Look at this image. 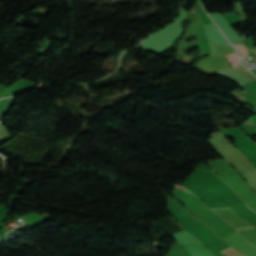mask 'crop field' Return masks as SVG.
Listing matches in <instances>:
<instances>
[{
  "label": "crop field",
  "mask_w": 256,
  "mask_h": 256,
  "mask_svg": "<svg viewBox=\"0 0 256 256\" xmlns=\"http://www.w3.org/2000/svg\"><path fill=\"white\" fill-rule=\"evenodd\" d=\"M227 58L231 63L232 67H236L238 65L239 61L235 53L227 55Z\"/></svg>",
  "instance_id": "4"
},
{
  "label": "crop field",
  "mask_w": 256,
  "mask_h": 256,
  "mask_svg": "<svg viewBox=\"0 0 256 256\" xmlns=\"http://www.w3.org/2000/svg\"><path fill=\"white\" fill-rule=\"evenodd\" d=\"M238 53L242 55V57L244 58V60H246L247 58V50L245 48L244 45H237V44H234Z\"/></svg>",
  "instance_id": "3"
},
{
  "label": "crop field",
  "mask_w": 256,
  "mask_h": 256,
  "mask_svg": "<svg viewBox=\"0 0 256 256\" xmlns=\"http://www.w3.org/2000/svg\"><path fill=\"white\" fill-rule=\"evenodd\" d=\"M210 209L217 213L219 216H221L223 219H225L237 230L255 227L243 217H241L239 214H237L235 211H233L229 206L213 207Z\"/></svg>",
  "instance_id": "1"
},
{
  "label": "crop field",
  "mask_w": 256,
  "mask_h": 256,
  "mask_svg": "<svg viewBox=\"0 0 256 256\" xmlns=\"http://www.w3.org/2000/svg\"><path fill=\"white\" fill-rule=\"evenodd\" d=\"M220 253L225 256H244L243 254L239 253L238 251H236L235 249H233L231 247L221 251Z\"/></svg>",
  "instance_id": "2"
}]
</instances>
